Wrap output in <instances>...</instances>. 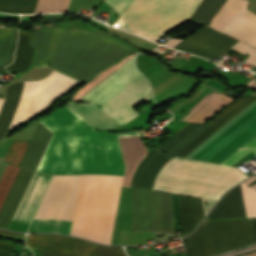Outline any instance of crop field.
<instances>
[{
  "label": "crop field",
  "instance_id": "crop-field-13",
  "mask_svg": "<svg viewBox=\"0 0 256 256\" xmlns=\"http://www.w3.org/2000/svg\"><path fill=\"white\" fill-rule=\"evenodd\" d=\"M228 1L229 0H203L189 20L197 24L206 22L212 23ZM244 3L245 0H230L214 22L209 26L220 31L229 23Z\"/></svg>",
  "mask_w": 256,
  "mask_h": 256
},
{
  "label": "crop field",
  "instance_id": "crop-field-33",
  "mask_svg": "<svg viewBox=\"0 0 256 256\" xmlns=\"http://www.w3.org/2000/svg\"><path fill=\"white\" fill-rule=\"evenodd\" d=\"M3 100H4V99H0V108H1V105H2V103H3Z\"/></svg>",
  "mask_w": 256,
  "mask_h": 256
},
{
  "label": "crop field",
  "instance_id": "crop-field-1",
  "mask_svg": "<svg viewBox=\"0 0 256 256\" xmlns=\"http://www.w3.org/2000/svg\"><path fill=\"white\" fill-rule=\"evenodd\" d=\"M54 135L36 169L44 174L123 177L124 162L116 134L99 133L65 105L38 119ZM75 133H87L76 134ZM103 176L82 175L71 235L91 238ZM123 178L104 177L92 241L110 244Z\"/></svg>",
  "mask_w": 256,
  "mask_h": 256
},
{
  "label": "crop field",
  "instance_id": "crop-field-8",
  "mask_svg": "<svg viewBox=\"0 0 256 256\" xmlns=\"http://www.w3.org/2000/svg\"><path fill=\"white\" fill-rule=\"evenodd\" d=\"M174 234L171 193L133 188L132 232Z\"/></svg>",
  "mask_w": 256,
  "mask_h": 256
},
{
  "label": "crop field",
  "instance_id": "crop-field-25",
  "mask_svg": "<svg viewBox=\"0 0 256 256\" xmlns=\"http://www.w3.org/2000/svg\"><path fill=\"white\" fill-rule=\"evenodd\" d=\"M231 100L232 98L221 94L187 121L203 122L207 118H209L213 113H215L223 106H225L227 103H229Z\"/></svg>",
  "mask_w": 256,
  "mask_h": 256
},
{
  "label": "crop field",
  "instance_id": "crop-field-16",
  "mask_svg": "<svg viewBox=\"0 0 256 256\" xmlns=\"http://www.w3.org/2000/svg\"><path fill=\"white\" fill-rule=\"evenodd\" d=\"M40 175L41 174L34 173L32 179L25 191V194L19 204V207L14 215V218H13L14 221H18V222L20 221ZM50 179H51V176L41 175V177L38 181V184L33 192V195L29 201V204L24 212V215L20 221L21 223H26V224L30 223V221L36 211V208H37V206L47 188V185H48Z\"/></svg>",
  "mask_w": 256,
  "mask_h": 256
},
{
  "label": "crop field",
  "instance_id": "crop-field-9",
  "mask_svg": "<svg viewBox=\"0 0 256 256\" xmlns=\"http://www.w3.org/2000/svg\"><path fill=\"white\" fill-rule=\"evenodd\" d=\"M79 82L56 70L41 81H30L14 129Z\"/></svg>",
  "mask_w": 256,
  "mask_h": 256
},
{
  "label": "crop field",
  "instance_id": "crop-field-17",
  "mask_svg": "<svg viewBox=\"0 0 256 256\" xmlns=\"http://www.w3.org/2000/svg\"><path fill=\"white\" fill-rule=\"evenodd\" d=\"M248 1L222 30L256 47V16L247 10Z\"/></svg>",
  "mask_w": 256,
  "mask_h": 256
},
{
  "label": "crop field",
  "instance_id": "crop-field-4",
  "mask_svg": "<svg viewBox=\"0 0 256 256\" xmlns=\"http://www.w3.org/2000/svg\"><path fill=\"white\" fill-rule=\"evenodd\" d=\"M255 99L256 97L241 96L207 123L210 129L177 156L183 158L187 156ZM254 136H256V100L185 158L220 164Z\"/></svg>",
  "mask_w": 256,
  "mask_h": 256
},
{
  "label": "crop field",
  "instance_id": "crop-field-24",
  "mask_svg": "<svg viewBox=\"0 0 256 256\" xmlns=\"http://www.w3.org/2000/svg\"><path fill=\"white\" fill-rule=\"evenodd\" d=\"M37 0H0V12L33 13Z\"/></svg>",
  "mask_w": 256,
  "mask_h": 256
},
{
  "label": "crop field",
  "instance_id": "crop-field-12",
  "mask_svg": "<svg viewBox=\"0 0 256 256\" xmlns=\"http://www.w3.org/2000/svg\"><path fill=\"white\" fill-rule=\"evenodd\" d=\"M26 245L29 248L71 254L77 256H88L97 244L86 242L72 237H64L51 234L28 235Z\"/></svg>",
  "mask_w": 256,
  "mask_h": 256
},
{
  "label": "crop field",
  "instance_id": "crop-field-20",
  "mask_svg": "<svg viewBox=\"0 0 256 256\" xmlns=\"http://www.w3.org/2000/svg\"><path fill=\"white\" fill-rule=\"evenodd\" d=\"M182 237L189 235L204 217L201 198L179 196Z\"/></svg>",
  "mask_w": 256,
  "mask_h": 256
},
{
  "label": "crop field",
  "instance_id": "crop-field-22",
  "mask_svg": "<svg viewBox=\"0 0 256 256\" xmlns=\"http://www.w3.org/2000/svg\"><path fill=\"white\" fill-rule=\"evenodd\" d=\"M29 37L30 33L19 31L14 63L5 67L9 72L16 69L20 74H22L28 69L34 51V49L28 44Z\"/></svg>",
  "mask_w": 256,
  "mask_h": 256
},
{
  "label": "crop field",
  "instance_id": "crop-field-27",
  "mask_svg": "<svg viewBox=\"0 0 256 256\" xmlns=\"http://www.w3.org/2000/svg\"><path fill=\"white\" fill-rule=\"evenodd\" d=\"M42 256H70L43 251ZM89 256H126L122 247H104L98 245Z\"/></svg>",
  "mask_w": 256,
  "mask_h": 256
},
{
  "label": "crop field",
  "instance_id": "crop-field-34",
  "mask_svg": "<svg viewBox=\"0 0 256 256\" xmlns=\"http://www.w3.org/2000/svg\"><path fill=\"white\" fill-rule=\"evenodd\" d=\"M248 256H256V253H254V254H251V255H248Z\"/></svg>",
  "mask_w": 256,
  "mask_h": 256
},
{
  "label": "crop field",
  "instance_id": "crop-field-7",
  "mask_svg": "<svg viewBox=\"0 0 256 256\" xmlns=\"http://www.w3.org/2000/svg\"><path fill=\"white\" fill-rule=\"evenodd\" d=\"M187 241V256H209L255 242L251 219L202 222Z\"/></svg>",
  "mask_w": 256,
  "mask_h": 256
},
{
  "label": "crop field",
  "instance_id": "crop-field-10",
  "mask_svg": "<svg viewBox=\"0 0 256 256\" xmlns=\"http://www.w3.org/2000/svg\"><path fill=\"white\" fill-rule=\"evenodd\" d=\"M149 98V84L140 76L99 109L122 126L138 115L131 107Z\"/></svg>",
  "mask_w": 256,
  "mask_h": 256
},
{
  "label": "crop field",
  "instance_id": "crop-field-26",
  "mask_svg": "<svg viewBox=\"0 0 256 256\" xmlns=\"http://www.w3.org/2000/svg\"><path fill=\"white\" fill-rule=\"evenodd\" d=\"M19 169L20 168L9 164L1 181H0V208L6 198V195L9 191Z\"/></svg>",
  "mask_w": 256,
  "mask_h": 256
},
{
  "label": "crop field",
  "instance_id": "crop-field-18",
  "mask_svg": "<svg viewBox=\"0 0 256 256\" xmlns=\"http://www.w3.org/2000/svg\"><path fill=\"white\" fill-rule=\"evenodd\" d=\"M33 172L20 169L0 211V228H8Z\"/></svg>",
  "mask_w": 256,
  "mask_h": 256
},
{
  "label": "crop field",
  "instance_id": "crop-field-15",
  "mask_svg": "<svg viewBox=\"0 0 256 256\" xmlns=\"http://www.w3.org/2000/svg\"><path fill=\"white\" fill-rule=\"evenodd\" d=\"M117 135L126 166L123 185L129 187L131 176L136 166L146 155L147 150L144 147L138 132L122 133Z\"/></svg>",
  "mask_w": 256,
  "mask_h": 256
},
{
  "label": "crop field",
  "instance_id": "crop-field-11",
  "mask_svg": "<svg viewBox=\"0 0 256 256\" xmlns=\"http://www.w3.org/2000/svg\"><path fill=\"white\" fill-rule=\"evenodd\" d=\"M238 40L205 26L180 42L174 49L214 59Z\"/></svg>",
  "mask_w": 256,
  "mask_h": 256
},
{
  "label": "crop field",
  "instance_id": "crop-field-29",
  "mask_svg": "<svg viewBox=\"0 0 256 256\" xmlns=\"http://www.w3.org/2000/svg\"><path fill=\"white\" fill-rule=\"evenodd\" d=\"M247 217H256V191L241 184Z\"/></svg>",
  "mask_w": 256,
  "mask_h": 256
},
{
  "label": "crop field",
  "instance_id": "crop-field-21",
  "mask_svg": "<svg viewBox=\"0 0 256 256\" xmlns=\"http://www.w3.org/2000/svg\"><path fill=\"white\" fill-rule=\"evenodd\" d=\"M66 105L93 128H110L119 126L93 104H76L69 102Z\"/></svg>",
  "mask_w": 256,
  "mask_h": 256
},
{
  "label": "crop field",
  "instance_id": "crop-field-32",
  "mask_svg": "<svg viewBox=\"0 0 256 256\" xmlns=\"http://www.w3.org/2000/svg\"><path fill=\"white\" fill-rule=\"evenodd\" d=\"M0 234L11 235V236H16V237H22L23 236V234L6 232V231H0Z\"/></svg>",
  "mask_w": 256,
  "mask_h": 256
},
{
  "label": "crop field",
  "instance_id": "crop-field-14",
  "mask_svg": "<svg viewBox=\"0 0 256 256\" xmlns=\"http://www.w3.org/2000/svg\"><path fill=\"white\" fill-rule=\"evenodd\" d=\"M134 58L124 64L81 100L103 105L121 89L140 75L134 66Z\"/></svg>",
  "mask_w": 256,
  "mask_h": 256
},
{
  "label": "crop field",
  "instance_id": "crop-field-30",
  "mask_svg": "<svg viewBox=\"0 0 256 256\" xmlns=\"http://www.w3.org/2000/svg\"><path fill=\"white\" fill-rule=\"evenodd\" d=\"M14 246L0 242V256H12Z\"/></svg>",
  "mask_w": 256,
  "mask_h": 256
},
{
  "label": "crop field",
  "instance_id": "crop-field-5",
  "mask_svg": "<svg viewBox=\"0 0 256 256\" xmlns=\"http://www.w3.org/2000/svg\"><path fill=\"white\" fill-rule=\"evenodd\" d=\"M120 16L134 0H105ZM202 0H135L116 24L158 41L161 35L187 20Z\"/></svg>",
  "mask_w": 256,
  "mask_h": 256
},
{
  "label": "crop field",
  "instance_id": "crop-field-19",
  "mask_svg": "<svg viewBox=\"0 0 256 256\" xmlns=\"http://www.w3.org/2000/svg\"><path fill=\"white\" fill-rule=\"evenodd\" d=\"M52 134V132H50L46 127L39 123L22 157L19 167L34 171Z\"/></svg>",
  "mask_w": 256,
  "mask_h": 256
},
{
  "label": "crop field",
  "instance_id": "crop-field-28",
  "mask_svg": "<svg viewBox=\"0 0 256 256\" xmlns=\"http://www.w3.org/2000/svg\"><path fill=\"white\" fill-rule=\"evenodd\" d=\"M28 143L29 141L14 140L4 161L18 165Z\"/></svg>",
  "mask_w": 256,
  "mask_h": 256
},
{
  "label": "crop field",
  "instance_id": "crop-field-3",
  "mask_svg": "<svg viewBox=\"0 0 256 256\" xmlns=\"http://www.w3.org/2000/svg\"><path fill=\"white\" fill-rule=\"evenodd\" d=\"M132 52L114 39L55 27L49 66L84 82Z\"/></svg>",
  "mask_w": 256,
  "mask_h": 256
},
{
  "label": "crop field",
  "instance_id": "crop-field-31",
  "mask_svg": "<svg viewBox=\"0 0 256 256\" xmlns=\"http://www.w3.org/2000/svg\"><path fill=\"white\" fill-rule=\"evenodd\" d=\"M248 10L256 14V0H249Z\"/></svg>",
  "mask_w": 256,
  "mask_h": 256
},
{
  "label": "crop field",
  "instance_id": "crop-field-6",
  "mask_svg": "<svg viewBox=\"0 0 256 256\" xmlns=\"http://www.w3.org/2000/svg\"><path fill=\"white\" fill-rule=\"evenodd\" d=\"M81 175L54 176L35 218L72 221ZM34 219L28 232L70 235L72 222Z\"/></svg>",
  "mask_w": 256,
  "mask_h": 256
},
{
  "label": "crop field",
  "instance_id": "crop-field-23",
  "mask_svg": "<svg viewBox=\"0 0 256 256\" xmlns=\"http://www.w3.org/2000/svg\"><path fill=\"white\" fill-rule=\"evenodd\" d=\"M138 52L128 55L121 59L119 62L113 64L112 66L108 67L107 69L101 71L99 74H97L93 79H91L85 86H83L81 89L76 91L72 95V101L77 102L81 97H83L86 93H88L90 90H92L95 86H97L100 82H102L105 78H107L109 75H111L114 71H116L119 67H121L125 62H127L130 58H132L135 54Z\"/></svg>",
  "mask_w": 256,
  "mask_h": 256
},
{
  "label": "crop field",
  "instance_id": "crop-field-2",
  "mask_svg": "<svg viewBox=\"0 0 256 256\" xmlns=\"http://www.w3.org/2000/svg\"><path fill=\"white\" fill-rule=\"evenodd\" d=\"M247 154L256 157V137L221 164L231 166ZM222 165L174 157L160 170L153 189L202 197L206 215L223 193L248 177Z\"/></svg>",
  "mask_w": 256,
  "mask_h": 256
}]
</instances>
